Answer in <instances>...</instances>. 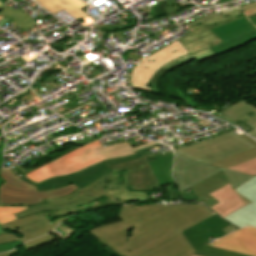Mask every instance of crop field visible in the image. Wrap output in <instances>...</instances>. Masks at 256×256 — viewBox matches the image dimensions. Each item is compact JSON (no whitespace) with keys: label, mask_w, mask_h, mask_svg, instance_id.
Wrapping results in <instances>:
<instances>
[{"label":"crop field","mask_w":256,"mask_h":256,"mask_svg":"<svg viewBox=\"0 0 256 256\" xmlns=\"http://www.w3.org/2000/svg\"><path fill=\"white\" fill-rule=\"evenodd\" d=\"M213 215L202 204L122 205L123 221L89 232L122 256H190L195 251L180 231Z\"/></svg>","instance_id":"crop-field-1"},{"label":"crop field","mask_w":256,"mask_h":256,"mask_svg":"<svg viewBox=\"0 0 256 256\" xmlns=\"http://www.w3.org/2000/svg\"><path fill=\"white\" fill-rule=\"evenodd\" d=\"M155 144L157 143L151 142L133 148L131 145L125 142L103 148L99 141H95L85 147L66 154L65 156L37 170H34L25 176L39 183L49 178L60 177L78 172L102 160L134 155L133 151Z\"/></svg>","instance_id":"crop-field-2"},{"label":"crop field","mask_w":256,"mask_h":256,"mask_svg":"<svg viewBox=\"0 0 256 256\" xmlns=\"http://www.w3.org/2000/svg\"><path fill=\"white\" fill-rule=\"evenodd\" d=\"M240 12L241 10L239 9L223 15H217V13H213L203 17L197 22L190 23L189 25L192 32L178 40L189 54L170 61L167 65L156 71L152 78L149 80V83L153 87L150 92L154 94H162L159 89V79L160 76L164 73L171 71L192 60L199 62L217 56L211 47L221 43V41L215 37L206 27L240 15Z\"/></svg>","instance_id":"crop-field-3"},{"label":"crop field","mask_w":256,"mask_h":256,"mask_svg":"<svg viewBox=\"0 0 256 256\" xmlns=\"http://www.w3.org/2000/svg\"><path fill=\"white\" fill-rule=\"evenodd\" d=\"M123 187H128L126 171L117 173L108 172L100 179L85 187L84 189L79 188L74 193L66 197L58 199H45L43 200L44 204L30 206L29 210L15 214V216L18 219L39 212L71 208L79 205H84L86 203H91L104 196L108 199L100 201L101 207L123 204L121 200L111 196L106 192L109 190Z\"/></svg>","instance_id":"crop-field-4"},{"label":"crop field","mask_w":256,"mask_h":256,"mask_svg":"<svg viewBox=\"0 0 256 256\" xmlns=\"http://www.w3.org/2000/svg\"><path fill=\"white\" fill-rule=\"evenodd\" d=\"M0 176L6 181L0 186V205H35L43 203L42 199L65 196L78 189L71 183L64 188L38 192L36 187L18 179L10 169L1 168Z\"/></svg>","instance_id":"crop-field-5"},{"label":"crop field","mask_w":256,"mask_h":256,"mask_svg":"<svg viewBox=\"0 0 256 256\" xmlns=\"http://www.w3.org/2000/svg\"><path fill=\"white\" fill-rule=\"evenodd\" d=\"M252 147L255 146L230 131L216 138L175 151L191 160L210 164Z\"/></svg>","instance_id":"crop-field-6"},{"label":"crop field","mask_w":256,"mask_h":256,"mask_svg":"<svg viewBox=\"0 0 256 256\" xmlns=\"http://www.w3.org/2000/svg\"><path fill=\"white\" fill-rule=\"evenodd\" d=\"M222 170L233 189L253 177L232 170L194 162L177 153L173 176L181 191L191 188L193 185Z\"/></svg>","instance_id":"crop-field-7"},{"label":"crop field","mask_w":256,"mask_h":256,"mask_svg":"<svg viewBox=\"0 0 256 256\" xmlns=\"http://www.w3.org/2000/svg\"><path fill=\"white\" fill-rule=\"evenodd\" d=\"M230 225V223L215 215L193 227L182 231V233L195 249L196 252L194 254L201 256H249L206 246L209 244L208 241L212 240L211 238H220L227 235L221 229Z\"/></svg>","instance_id":"crop-field-8"},{"label":"crop field","mask_w":256,"mask_h":256,"mask_svg":"<svg viewBox=\"0 0 256 256\" xmlns=\"http://www.w3.org/2000/svg\"><path fill=\"white\" fill-rule=\"evenodd\" d=\"M67 217L53 220L51 217L42 221L37 214L1 225L6 234L0 235V244L21 239L22 243L48 233ZM52 224H49V223Z\"/></svg>","instance_id":"crop-field-9"},{"label":"crop field","mask_w":256,"mask_h":256,"mask_svg":"<svg viewBox=\"0 0 256 256\" xmlns=\"http://www.w3.org/2000/svg\"><path fill=\"white\" fill-rule=\"evenodd\" d=\"M184 54H187V52L177 41L160 52L137 63L131 74L132 86L149 92L150 88L147 86V83L153 73L170 60Z\"/></svg>","instance_id":"crop-field-10"},{"label":"crop field","mask_w":256,"mask_h":256,"mask_svg":"<svg viewBox=\"0 0 256 256\" xmlns=\"http://www.w3.org/2000/svg\"><path fill=\"white\" fill-rule=\"evenodd\" d=\"M112 172L127 170L131 190L147 191L159 186L147 156L110 167Z\"/></svg>","instance_id":"crop-field-11"},{"label":"crop field","mask_w":256,"mask_h":256,"mask_svg":"<svg viewBox=\"0 0 256 256\" xmlns=\"http://www.w3.org/2000/svg\"><path fill=\"white\" fill-rule=\"evenodd\" d=\"M108 171H110L108 165L106 161H103L78 173L43 181L37 185V188L39 191L52 190L55 188L63 187L71 182L79 187L84 188Z\"/></svg>","instance_id":"crop-field-12"},{"label":"crop field","mask_w":256,"mask_h":256,"mask_svg":"<svg viewBox=\"0 0 256 256\" xmlns=\"http://www.w3.org/2000/svg\"><path fill=\"white\" fill-rule=\"evenodd\" d=\"M234 190L252 203L224 218L238 227H256V176Z\"/></svg>","instance_id":"crop-field-13"},{"label":"crop field","mask_w":256,"mask_h":256,"mask_svg":"<svg viewBox=\"0 0 256 256\" xmlns=\"http://www.w3.org/2000/svg\"><path fill=\"white\" fill-rule=\"evenodd\" d=\"M209 245L256 256V229L248 227L238 230Z\"/></svg>","instance_id":"crop-field-14"},{"label":"crop field","mask_w":256,"mask_h":256,"mask_svg":"<svg viewBox=\"0 0 256 256\" xmlns=\"http://www.w3.org/2000/svg\"><path fill=\"white\" fill-rule=\"evenodd\" d=\"M220 203L210 207L215 213L223 217L250 202L235 192L230 184L209 194Z\"/></svg>","instance_id":"crop-field-15"},{"label":"crop field","mask_w":256,"mask_h":256,"mask_svg":"<svg viewBox=\"0 0 256 256\" xmlns=\"http://www.w3.org/2000/svg\"><path fill=\"white\" fill-rule=\"evenodd\" d=\"M229 184L223 172H220L205 181L193 186L199 200L196 202H203L208 207L218 203L213 197L208 194Z\"/></svg>","instance_id":"crop-field-16"},{"label":"crop field","mask_w":256,"mask_h":256,"mask_svg":"<svg viewBox=\"0 0 256 256\" xmlns=\"http://www.w3.org/2000/svg\"><path fill=\"white\" fill-rule=\"evenodd\" d=\"M39 4L55 14L61 10L68 12L77 21L88 17L81 9L88 6L80 0H36Z\"/></svg>","instance_id":"crop-field-17"},{"label":"crop field","mask_w":256,"mask_h":256,"mask_svg":"<svg viewBox=\"0 0 256 256\" xmlns=\"http://www.w3.org/2000/svg\"><path fill=\"white\" fill-rule=\"evenodd\" d=\"M250 111L253 112L255 115L246 125H248L253 130L247 133L254 137L256 136V105H253L242 99L241 101L227 108L222 114L235 120Z\"/></svg>","instance_id":"crop-field-18"},{"label":"crop field","mask_w":256,"mask_h":256,"mask_svg":"<svg viewBox=\"0 0 256 256\" xmlns=\"http://www.w3.org/2000/svg\"><path fill=\"white\" fill-rule=\"evenodd\" d=\"M253 29L256 28L251 26L249 22L245 18H243L238 21L211 30V32L223 42L229 38L251 31Z\"/></svg>","instance_id":"crop-field-19"},{"label":"crop field","mask_w":256,"mask_h":256,"mask_svg":"<svg viewBox=\"0 0 256 256\" xmlns=\"http://www.w3.org/2000/svg\"><path fill=\"white\" fill-rule=\"evenodd\" d=\"M172 160L173 152L158 161L150 162L160 186L174 182L171 177Z\"/></svg>","instance_id":"crop-field-20"},{"label":"crop field","mask_w":256,"mask_h":256,"mask_svg":"<svg viewBox=\"0 0 256 256\" xmlns=\"http://www.w3.org/2000/svg\"><path fill=\"white\" fill-rule=\"evenodd\" d=\"M240 137L244 138L245 140H247L248 142L256 146V142L252 140L250 137H248L247 135L244 134ZM254 157H256V148H252L250 150L244 151L242 153H239L234 156L228 157L226 159L220 160L218 162L212 163L211 165L228 168L230 166L236 165L238 163L244 162Z\"/></svg>","instance_id":"crop-field-21"},{"label":"crop field","mask_w":256,"mask_h":256,"mask_svg":"<svg viewBox=\"0 0 256 256\" xmlns=\"http://www.w3.org/2000/svg\"><path fill=\"white\" fill-rule=\"evenodd\" d=\"M256 39V30L245 33L243 35L237 36L235 38L229 39L222 44H219L213 47L217 55L228 52L232 49H235L239 46H242L252 40Z\"/></svg>","instance_id":"crop-field-22"},{"label":"crop field","mask_w":256,"mask_h":256,"mask_svg":"<svg viewBox=\"0 0 256 256\" xmlns=\"http://www.w3.org/2000/svg\"><path fill=\"white\" fill-rule=\"evenodd\" d=\"M12 10V9H11ZM7 6H5L2 10H0V16L5 17L9 20L11 18L13 21L22 29H26L37 24L33 19H31L28 15H26L20 9L16 11H11Z\"/></svg>","instance_id":"crop-field-23"},{"label":"crop field","mask_w":256,"mask_h":256,"mask_svg":"<svg viewBox=\"0 0 256 256\" xmlns=\"http://www.w3.org/2000/svg\"><path fill=\"white\" fill-rule=\"evenodd\" d=\"M98 207H100L99 201L93 202L91 204H86L84 206H79L76 208L62 210V211H50V212H46V213H40V214H38V216L40 217V219H43L48 216H51L53 219H56V218H60V217H64V216H70V215H73V214H76L79 212H83V211L98 208Z\"/></svg>","instance_id":"crop-field-24"},{"label":"crop field","mask_w":256,"mask_h":256,"mask_svg":"<svg viewBox=\"0 0 256 256\" xmlns=\"http://www.w3.org/2000/svg\"><path fill=\"white\" fill-rule=\"evenodd\" d=\"M108 193L120 198L122 201L146 200V192H129L127 188L109 191Z\"/></svg>","instance_id":"crop-field-25"},{"label":"crop field","mask_w":256,"mask_h":256,"mask_svg":"<svg viewBox=\"0 0 256 256\" xmlns=\"http://www.w3.org/2000/svg\"><path fill=\"white\" fill-rule=\"evenodd\" d=\"M28 208V206H0V225L16 220L13 214Z\"/></svg>","instance_id":"crop-field-26"},{"label":"crop field","mask_w":256,"mask_h":256,"mask_svg":"<svg viewBox=\"0 0 256 256\" xmlns=\"http://www.w3.org/2000/svg\"><path fill=\"white\" fill-rule=\"evenodd\" d=\"M228 169H232L235 171H239L242 173H246V174L255 176L256 175V158L249 160L247 162L241 163L239 165L233 166Z\"/></svg>","instance_id":"crop-field-27"},{"label":"crop field","mask_w":256,"mask_h":256,"mask_svg":"<svg viewBox=\"0 0 256 256\" xmlns=\"http://www.w3.org/2000/svg\"><path fill=\"white\" fill-rule=\"evenodd\" d=\"M55 239V237L51 236V235H46V236H43L41 238H38V239H35L33 241H30V242H27L25 244H23L26 248V250L28 249H31V248H34V247H37L39 245H43L51 240Z\"/></svg>","instance_id":"crop-field-28"},{"label":"crop field","mask_w":256,"mask_h":256,"mask_svg":"<svg viewBox=\"0 0 256 256\" xmlns=\"http://www.w3.org/2000/svg\"><path fill=\"white\" fill-rule=\"evenodd\" d=\"M21 244V241H15L0 245V252L9 251Z\"/></svg>","instance_id":"crop-field-29"},{"label":"crop field","mask_w":256,"mask_h":256,"mask_svg":"<svg viewBox=\"0 0 256 256\" xmlns=\"http://www.w3.org/2000/svg\"><path fill=\"white\" fill-rule=\"evenodd\" d=\"M163 2H164V5H165V8H166V11H167L168 15L173 13V12H176L174 7L172 6V4L169 2V0H165Z\"/></svg>","instance_id":"crop-field-30"},{"label":"crop field","mask_w":256,"mask_h":256,"mask_svg":"<svg viewBox=\"0 0 256 256\" xmlns=\"http://www.w3.org/2000/svg\"><path fill=\"white\" fill-rule=\"evenodd\" d=\"M247 17L256 14V6L243 11Z\"/></svg>","instance_id":"crop-field-31"},{"label":"crop field","mask_w":256,"mask_h":256,"mask_svg":"<svg viewBox=\"0 0 256 256\" xmlns=\"http://www.w3.org/2000/svg\"><path fill=\"white\" fill-rule=\"evenodd\" d=\"M94 101H95V100L92 99V100H90V101H87V102H85V103H82V104H80V105H78V106H76V107H74V108H72V109H70V110H68V111H66V112L61 113V115L65 114V113H67V112H69V111H71V110H74V109H76V108H78V107H80V106H82V105H84V104L91 103V102H94ZM84 106H85V105H84Z\"/></svg>","instance_id":"crop-field-32"},{"label":"crop field","mask_w":256,"mask_h":256,"mask_svg":"<svg viewBox=\"0 0 256 256\" xmlns=\"http://www.w3.org/2000/svg\"><path fill=\"white\" fill-rule=\"evenodd\" d=\"M2 148H3V146L2 147H0V167H1V164H2V161H3V158H4V156L2 155ZM5 181H3L1 178H0V185L2 184V183H4Z\"/></svg>","instance_id":"crop-field-33"},{"label":"crop field","mask_w":256,"mask_h":256,"mask_svg":"<svg viewBox=\"0 0 256 256\" xmlns=\"http://www.w3.org/2000/svg\"><path fill=\"white\" fill-rule=\"evenodd\" d=\"M238 8H239V6H236V7H232V8L220 10V12L223 14V13H226V12H228V11H232V10H235V9H238Z\"/></svg>","instance_id":"crop-field-34"},{"label":"crop field","mask_w":256,"mask_h":256,"mask_svg":"<svg viewBox=\"0 0 256 256\" xmlns=\"http://www.w3.org/2000/svg\"><path fill=\"white\" fill-rule=\"evenodd\" d=\"M14 253H19L18 249L14 250L12 252H9V253L1 254L0 256H10V255H12Z\"/></svg>","instance_id":"crop-field-35"},{"label":"crop field","mask_w":256,"mask_h":256,"mask_svg":"<svg viewBox=\"0 0 256 256\" xmlns=\"http://www.w3.org/2000/svg\"><path fill=\"white\" fill-rule=\"evenodd\" d=\"M8 22V20H6V19H2L1 21H0V26L2 27L4 24H6Z\"/></svg>","instance_id":"crop-field-36"},{"label":"crop field","mask_w":256,"mask_h":256,"mask_svg":"<svg viewBox=\"0 0 256 256\" xmlns=\"http://www.w3.org/2000/svg\"><path fill=\"white\" fill-rule=\"evenodd\" d=\"M84 19H85L84 21H85L87 24L93 22V20H92L90 17L84 18Z\"/></svg>","instance_id":"crop-field-37"},{"label":"crop field","mask_w":256,"mask_h":256,"mask_svg":"<svg viewBox=\"0 0 256 256\" xmlns=\"http://www.w3.org/2000/svg\"><path fill=\"white\" fill-rule=\"evenodd\" d=\"M256 5V2L253 3V4H250V5H247V6H244L242 7V10L246 9V8H249V7H252V6H255Z\"/></svg>","instance_id":"crop-field-38"},{"label":"crop field","mask_w":256,"mask_h":256,"mask_svg":"<svg viewBox=\"0 0 256 256\" xmlns=\"http://www.w3.org/2000/svg\"><path fill=\"white\" fill-rule=\"evenodd\" d=\"M228 1H232V0H221L219 3L217 4H220V3H224V2H228Z\"/></svg>","instance_id":"crop-field-39"},{"label":"crop field","mask_w":256,"mask_h":256,"mask_svg":"<svg viewBox=\"0 0 256 256\" xmlns=\"http://www.w3.org/2000/svg\"><path fill=\"white\" fill-rule=\"evenodd\" d=\"M252 22H253V24L256 26V18H253V19H250Z\"/></svg>","instance_id":"crop-field-40"},{"label":"crop field","mask_w":256,"mask_h":256,"mask_svg":"<svg viewBox=\"0 0 256 256\" xmlns=\"http://www.w3.org/2000/svg\"><path fill=\"white\" fill-rule=\"evenodd\" d=\"M1 2H3L4 4L7 2V0H0Z\"/></svg>","instance_id":"crop-field-41"},{"label":"crop field","mask_w":256,"mask_h":256,"mask_svg":"<svg viewBox=\"0 0 256 256\" xmlns=\"http://www.w3.org/2000/svg\"><path fill=\"white\" fill-rule=\"evenodd\" d=\"M4 232H3V230L0 228V234H3Z\"/></svg>","instance_id":"crop-field-42"},{"label":"crop field","mask_w":256,"mask_h":256,"mask_svg":"<svg viewBox=\"0 0 256 256\" xmlns=\"http://www.w3.org/2000/svg\"><path fill=\"white\" fill-rule=\"evenodd\" d=\"M4 4L0 2V8L3 6Z\"/></svg>","instance_id":"crop-field-43"},{"label":"crop field","mask_w":256,"mask_h":256,"mask_svg":"<svg viewBox=\"0 0 256 256\" xmlns=\"http://www.w3.org/2000/svg\"><path fill=\"white\" fill-rule=\"evenodd\" d=\"M191 256H197V255L192 254Z\"/></svg>","instance_id":"crop-field-44"}]
</instances>
